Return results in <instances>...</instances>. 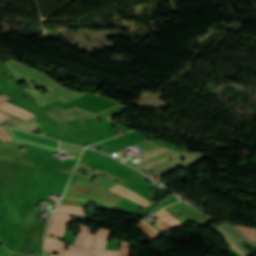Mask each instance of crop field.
<instances>
[{
    "label": "crop field",
    "instance_id": "1",
    "mask_svg": "<svg viewBox=\"0 0 256 256\" xmlns=\"http://www.w3.org/2000/svg\"><path fill=\"white\" fill-rule=\"evenodd\" d=\"M70 219L68 215L55 213L49 223L47 236L62 237L65 232V226ZM90 228L86 226L80 227L81 232L77 235L74 245L93 249H105L109 230L100 228L95 235H89Z\"/></svg>",
    "mask_w": 256,
    "mask_h": 256
},
{
    "label": "crop field",
    "instance_id": "2",
    "mask_svg": "<svg viewBox=\"0 0 256 256\" xmlns=\"http://www.w3.org/2000/svg\"><path fill=\"white\" fill-rule=\"evenodd\" d=\"M64 195L94 200L111 209L122 199V197L108 191L107 188L85 180H79L69 185Z\"/></svg>",
    "mask_w": 256,
    "mask_h": 256
},
{
    "label": "crop field",
    "instance_id": "3",
    "mask_svg": "<svg viewBox=\"0 0 256 256\" xmlns=\"http://www.w3.org/2000/svg\"><path fill=\"white\" fill-rule=\"evenodd\" d=\"M4 65L16 76L19 82L25 80L30 85L32 89L31 90L25 89V91H27L35 99L43 95L34 88L31 80H34L35 82L46 87L50 91L60 86L59 84H57L56 82H54L53 80L45 76L43 73L31 67L25 66L13 59L7 61Z\"/></svg>",
    "mask_w": 256,
    "mask_h": 256
},
{
    "label": "crop field",
    "instance_id": "4",
    "mask_svg": "<svg viewBox=\"0 0 256 256\" xmlns=\"http://www.w3.org/2000/svg\"><path fill=\"white\" fill-rule=\"evenodd\" d=\"M143 154L144 156L141 157L137 162V165L143 170L159 164L167 159L179 156V154L176 152L164 148H157L144 152Z\"/></svg>",
    "mask_w": 256,
    "mask_h": 256
},
{
    "label": "crop field",
    "instance_id": "5",
    "mask_svg": "<svg viewBox=\"0 0 256 256\" xmlns=\"http://www.w3.org/2000/svg\"><path fill=\"white\" fill-rule=\"evenodd\" d=\"M87 93H81V92H76V91H71L68 89H65L63 87L43 96L42 98L34 101L36 102L38 105H40L41 107L56 101L58 99L62 100L63 102L67 103L71 100H74L80 96H83Z\"/></svg>",
    "mask_w": 256,
    "mask_h": 256
},
{
    "label": "crop field",
    "instance_id": "6",
    "mask_svg": "<svg viewBox=\"0 0 256 256\" xmlns=\"http://www.w3.org/2000/svg\"><path fill=\"white\" fill-rule=\"evenodd\" d=\"M109 190H111L129 200H132L146 208L149 207V205H150V203L147 200L143 199L142 197L138 196L137 194L133 193L132 191L128 190L127 188H125L119 184Z\"/></svg>",
    "mask_w": 256,
    "mask_h": 256
},
{
    "label": "crop field",
    "instance_id": "7",
    "mask_svg": "<svg viewBox=\"0 0 256 256\" xmlns=\"http://www.w3.org/2000/svg\"><path fill=\"white\" fill-rule=\"evenodd\" d=\"M0 109L6 111V112H8V113H11V114H13V115H15V116H18V117H20V118H22V119H24V120H27V119H29V118L35 116L34 114H32V113H30V112H27V111H25V110H22V109H20V108H18V107H15V106H13V105H10V104H8V103H6V102H3V103L0 104ZM0 111H1V110H0ZM4 111H2V112H4ZM6 112H4V113H6ZM8 113H6V114H8ZM11 114H8V115L13 116V115H11ZM15 116H13V117H15ZM16 118H17V117H16ZM20 118H19V119H20ZM22 119H21V120H22ZM24 120H23V121H24Z\"/></svg>",
    "mask_w": 256,
    "mask_h": 256
},
{
    "label": "crop field",
    "instance_id": "8",
    "mask_svg": "<svg viewBox=\"0 0 256 256\" xmlns=\"http://www.w3.org/2000/svg\"><path fill=\"white\" fill-rule=\"evenodd\" d=\"M64 248H65V244L61 243L55 239H51V238H46L45 240V246H44V250L47 252H59V253H63L64 252ZM110 252H115V251H110ZM115 253H119V252H115ZM50 256H54V255H50ZM59 256H72V255H62L59 254Z\"/></svg>",
    "mask_w": 256,
    "mask_h": 256
},
{
    "label": "crop field",
    "instance_id": "9",
    "mask_svg": "<svg viewBox=\"0 0 256 256\" xmlns=\"http://www.w3.org/2000/svg\"><path fill=\"white\" fill-rule=\"evenodd\" d=\"M38 119L37 117L27 121V122H24L14 128H19V129H23V130H26V131H30V132H33L35 130H37L38 128L42 127L40 126L37 122H35L34 120Z\"/></svg>",
    "mask_w": 256,
    "mask_h": 256
},
{
    "label": "crop field",
    "instance_id": "10",
    "mask_svg": "<svg viewBox=\"0 0 256 256\" xmlns=\"http://www.w3.org/2000/svg\"><path fill=\"white\" fill-rule=\"evenodd\" d=\"M83 209L82 207L59 205L57 211L84 215Z\"/></svg>",
    "mask_w": 256,
    "mask_h": 256
},
{
    "label": "crop field",
    "instance_id": "11",
    "mask_svg": "<svg viewBox=\"0 0 256 256\" xmlns=\"http://www.w3.org/2000/svg\"><path fill=\"white\" fill-rule=\"evenodd\" d=\"M237 230H239L241 233H243L244 235H246L247 237L253 239L256 241V237H255V229H251V228H247V227H244V226H240L238 225L236 227Z\"/></svg>",
    "mask_w": 256,
    "mask_h": 256
},
{
    "label": "crop field",
    "instance_id": "12",
    "mask_svg": "<svg viewBox=\"0 0 256 256\" xmlns=\"http://www.w3.org/2000/svg\"><path fill=\"white\" fill-rule=\"evenodd\" d=\"M142 224H144L148 229H150L154 234H156L157 236L160 235L159 233H157L155 230H153L148 224H146L144 221L141 222ZM139 224L138 227L140 229H142L151 239L157 237L156 235H154L150 230H148L144 225ZM141 230V231H142Z\"/></svg>",
    "mask_w": 256,
    "mask_h": 256
},
{
    "label": "crop field",
    "instance_id": "13",
    "mask_svg": "<svg viewBox=\"0 0 256 256\" xmlns=\"http://www.w3.org/2000/svg\"><path fill=\"white\" fill-rule=\"evenodd\" d=\"M86 202L87 201H83V200H75V199L64 198L61 203H63V204H71V205H79V206H84L85 207L86 206Z\"/></svg>",
    "mask_w": 256,
    "mask_h": 256
},
{
    "label": "crop field",
    "instance_id": "14",
    "mask_svg": "<svg viewBox=\"0 0 256 256\" xmlns=\"http://www.w3.org/2000/svg\"><path fill=\"white\" fill-rule=\"evenodd\" d=\"M130 244L120 241V256H129Z\"/></svg>",
    "mask_w": 256,
    "mask_h": 256
},
{
    "label": "crop field",
    "instance_id": "15",
    "mask_svg": "<svg viewBox=\"0 0 256 256\" xmlns=\"http://www.w3.org/2000/svg\"><path fill=\"white\" fill-rule=\"evenodd\" d=\"M21 140L23 142L27 143V144H31V145H35V146H38V147L46 148V149H49V150L57 151L56 147H52V146H48V145H44V144H40V143L28 141V140H24V139H21Z\"/></svg>",
    "mask_w": 256,
    "mask_h": 256
},
{
    "label": "crop field",
    "instance_id": "16",
    "mask_svg": "<svg viewBox=\"0 0 256 256\" xmlns=\"http://www.w3.org/2000/svg\"><path fill=\"white\" fill-rule=\"evenodd\" d=\"M0 139L2 141H13L11 137L3 129H0Z\"/></svg>",
    "mask_w": 256,
    "mask_h": 256
},
{
    "label": "crop field",
    "instance_id": "17",
    "mask_svg": "<svg viewBox=\"0 0 256 256\" xmlns=\"http://www.w3.org/2000/svg\"><path fill=\"white\" fill-rule=\"evenodd\" d=\"M8 98H10V97H7V96H5V95H2V96H0V102L6 100V99H8ZM9 117H10V116H8V115H6V114L0 112V122L3 121V120H5V119H7V118H9Z\"/></svg>",
    "mask_w": 256,
    "mask_h": 256
},
{
    "label": "crop field",
    "instance_id": "18",
    "mask_svg": "<svg viewBox=\"0 0 256 256\" xmlns=\"http://www.w3.org/2000/svg\"><path fill=\"white\" fill-rule=\"evenodd\" d=\"M224 238L225 242L230 246L232 247L234 250H236L238 253H240L242 256H246L244 253H242L240 250H238L236 247H234L229 241L228 239L218 230L216 229Z\"/></svg>",
    "mask_w": 256,
    "mask_h": 256
},
{
    "label": "crop field",
    "instance_id": "19",
    "mask_svg": "<svg viewBox=\"0 0 256 256\" xmlns=\"http://www.w3.org/2000/svg\"><path fill=\"white\" fill-rule=\"evenodd\" d=\"M7 132L10 134V136L13 138V140L15 141V143L17 144H24L23 142H21L18 138H16L13 134V132L11 130H7Z\"/></svg>",
    "mask_w": 256,
    "mask_h": 256
}]
</instances>
